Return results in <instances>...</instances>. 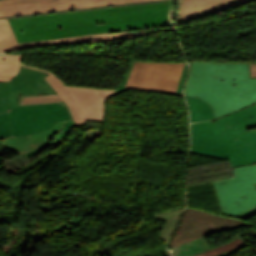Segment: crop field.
<instances>
[{
	"mask_svg": "<svg viewBox=\"0 0 256 256\" xmlns=\"http://www.w3.org/2000/svg\"><path fill=\"white\" fill-rule=\"evenodd\" d=\"M185 208L182 207V208H179V209H176V210H173V211H169V212H164V213H160V214H155V218L157 220H162V219H166V218H169L171 217L174 213L176 212H179V211H182L184 210Z\"/></svg>",
	"mask_w": 256,
	"mask_h": 256,
	"instance_id": "18",
	"label": "crop field"
},
{
	"mask_svg": "<svg viewBox=\"0 0 256 256\" xmlns=\"http://www.w3.org/2000/svg\"><path fill=\"white\" fill-rule=\"evenodd\" d=\"M256 104L220 118L191 124V153L229 160L232 167L256 163Z\"/></svg>",
	"mask_w": 256,
	"mask_h": 256,
	"instance_id": "2",
	"label": "crop field"
},
{
	"mask_svg": "<svg viewBox=\"0 0 256 256\" xmlns=\"http://www.w3.org/2000/svg\"><path fill=\"white\" fill-rule=\"evenodd\" d=\"M142 34H146L144 30L133 31V32H123V33H113V34H101V35H93V36L71 37V38L60 39V40H50V41L17 44V40H16L7 20L0 19V53L16 50V49H19V47L29 46V45L108 40V39H115V38L134 36V35H142Z\"/></svg>",
	"mask_w": 256,
	"mask_h": 256,
	"instance_id": "11",
	"label": "crop field"
},
{
	"mask_svg": "<svg viewBox=\"0 0 256 256\" xmlns=\"http://www.w3.org/2000/svg\"><path fill=\"white\" fill-rule=\"evenodd\" d=\"M250 78H256V63H249Z\"/></svg>",
	"mask_w": 256,
	"mask_h": 256,
	"instance_id": "20",
	"label": "crop field"
},
{
	"mask_svg": "<svg viewBox=\"0 0 256 256\" xmlns=\"http://www.w3.org/2000/svg\"><path fill=\"white\" fill-rule=\"evenodd\" d=\"M232 170L235 177L213 184L222 214L244 218L256 212V165Z\"/></svg>",
	"mask_w": 256,
	"mask_h": 256,
	"instance_id": "7",
	"label": "crop field"
},
{
	"mask_svg": "<svg viewBox=\"0 0 256 256\" xmlns=\"http://www.w3.org/2000/svg\"><path fill=\"white\" fill-rule=\"evenodd\" d=\"M183 212L177 213V214L173 215L171 218L165 220L166 221L165 226L162 229L161 234L159 236V238L165 244L168 245L170 238L173 236V234L179 224V221H180V218H181Z\"/></svg>",
	"mask_w": 256,
	"mask_h": 256,
	"instance_id": "15",
	"label": "crop field"
},
{
	"mask_svg": "<svg viewBox=\"0 0 256 256\" xmlns=\"http://www.w3.org/2000/svg\"><path fill=\"white\" fill-rule=\"evenodd\" d=\"M133 63H134V61L131 62V65H130V67H129L128 74H127V76L125 77V79L123 80V82L121 83V85L119 86L117 93H119V92H121V91H123V90L128 89V88H125V86H126V83H127L128 77H129V74H130V72H131ZM187 69H188L187 63H185L184 69H183V73H182V77H181L180 84H179V88H178V92H177L178 95H182V85H183V81H184V77H185V74H186V72H187ZM141 90H145V89H141ZM148 91H152V90H148ZM156 92H159V91H156ZM163 93H166V92H163ZM170 94H173V93H170Z\"/></svg>",
	"mask_w": 256,
	"mask_h": 256,
	"instance_id": "17",
	"label": "crop field"
},
{
	"mask_svg": "<svg viewBox=\"0 0 256 256\" xmlns=\"http://www.w3.org/2000/svg\"><path fill=\"white\" fill-rule=\"evenodd\" d=\"M47 73L21 67L10 82H0V113L18 105L19 95L55 93L43 79Z\"/></svg>",
	"mask_w": 256,
	"mask_h": 256,
	"instance_id": "10",
	"label": "crop field"
},
{
	"mask_svg": "<svg viewBox=\"0 0 256 256\" xmlns=\"http://www.w3.org/2000/svg\"><path fill=\"white\" fill-rule=\"evenodd\" d=\"M186 95L209 103L215 118L256 102V79L248 63H191Z\"/></svg>",
	"mask_w": 256,
	"mask_h": 256,
	"instance_id": "3",
	"label": "crop field"
},
{
	"mask_svg": "<svg viewBox=\"0 0 256 256\" xmlns=\"http://www.w3.org/2000/svg\"><path fill=\"white\" fill-rule=\"evenodd\" d=\"M22 54L0 55V81H10L20 66L49 73L44 79L57 94L20 96L19 105L64 102L75 124L80 127L85 120L104 121L105 101L116 90L65 86L53 72L21 63Z\"/></svg>",
	"mask_w": 256,
	"mask_h": 256,
	"instance_id": "4",
	"label": "crop field"
},
{
	"mask_svg": "<svg viewBox=\"0 0 256 256\" xmlns=\"http://www.w3.org/2000/svg\"><path fill=\"white\" fill-rule=\"evenodd\" d=\"M36 1V3H34ZM166 0H0V18Z\"/></svg>",
	"mask_w": 256,
	"mask_h": 256,
	"instance_id": "8",
	"label": "crop field"
},
{
	"mask_svg": "<svg viewBox=\"0 0 256 256\" xmlns=\"http://www.w3.org/2000/svg\"><path fill=\"white\" fill-rule=\"evenodd\" d=\"M0 114V137L24 136L50 129L57 121L68 119L50 143L60 145L75 128L64 103L18 106Z\"/></svg>",
	"mask_w": 256,
	"mask_h": 256,
	"instance_id": "5",
	"label": "crop field"
},
{
	"mask_svg": "<svg viewBox=\"0 0 256 256\" xmlns=\"http://www.w3.org/2000/svg\"><path fill=\"white\" fill-rule=\"evenodd\" d=\"M186 98L191 113V122L214 119L213 110L209 104L198 98L188 96Z\"/></svg>",
	"mask_w": 256,
	"mask_h": 256,
	"instance_id": "14",
	"label": "crop field"
},
{
	"mask_svg": "<svg viewBox=\"0 0 256 256\" xmlns=\"http://www.w3.org/2000/svg\"><path fill=\"white\" fill-rule=\"evenodd\" d=\"M184 63L135 61L126 87L177 92Z\"/></svg>",
	"mask_w": 256,
	"mask_h": 256,
	"instance_id": "9",
	"label": "crop field"
},
{
	"mask_svg": "<svg viewBox=\"0 0 256 256\" xmlns=\"http://www.w3.org/2000/svg\"><path fill=\"white\" fill-rule=\"evenodd\" d=\"M65 122L66 120L57 122L52 129L29 135L28 137L2 138V144L7 145L11 151L25 154L37 148L35 145L54 137L63 128Z\"/></svg>",
	"mask_w": 256,
	"mask_h": 256,
	"instance_id": "13",
	"label": "crop field"
},
{
	"mask_svg": "<svg viewBox=\"0 0 256 256\" xmlns=\"http://www.w3.org/2000/svg\"><path fill=\"white\" fill-rule=\"evenodd\" d=\"M254 0H179L178 24Z\"/></svg>",
	"mask_w": 256,
	"mask_h": 256,
	"instance_id": "12",
	"label": "crop field"
},
{
	"mask_svg": "<svg viewBox=\"0 0 256 256\" xmlns=\"http://www.w3.org/2000/svg\"><path fill=\"white\" fill-rule=\"evenodd\" d=\"M243 242L239 238V239L233 240L231 242H228V243H226L224 245H221L219 247H216V248H214V249H212L210 251L204 252V253H202V254H200L198 256H215V255L220 254V253H222V252H224L226 250H229V249H231V248H233L235 246H238V245L242 244Z\"/></svg>",
	"mask_w": 256,
	"mask_h": 256,
	"instance_id": "16",
	"label": "crop field"
},
{
	"mask_svg": "<svg viewBox=\"0 0 256 256\" xmlns=\"http://www.w3.org/2000/svg\"><path fill=\"white\" fill-rule=\"evenodd\" d=\"M245 222L188 208L178 234L172 241L173 256H195L211 249L205 237Z\"/></svg>",
	"mask_w": 256,
	"mask_h": 256,
	"instance_id": "6",
	"label": "crop field"
},
{
	"mask_svg": "<svg viewBox=\"0 0 256 256\" xmlns=\"http://www.w3.org/2000/svg\"><path fill=\"white\" fill-rule=\"evenodd\" d=\"M243 246H245V244H242V245H240V246H238V247H236V248H233V249H231V250H229V251H226V252H224V253H222V254H220V255H217V256H227V255H229L230 253L234 252L235 250H237V249H239V248H241V247H243Z\"/></svg>",
	"mask_w": 256,
	"mask_h": 256,
	"instance_id": "22",
	"label": "crop field"
},
{
	"mask_svg": "<svg viewBox=\"0 0 256 256\" xmlns=\"http://www.w3.org/2000/svg\"><path fill=\"white\" fill-rule=\"evenodd\" d=\"M48 145H50V143H49L48 141H46V142H44V143H42V144H39V145H37L39 148H37V149H35V150H33V151H31V152L25 154L24 156L30 158V157L36 155L37 153H39V152H40L41 150H43L44 148H46Z\"/></svg>",
	"mask_w": 256,
	"mask_h": 256,
	"instance_id": "19",
	"label": "crop field"
},
{
	"mask_svg": "<svg viewBox=\"0 0 256 256\" xmlns=\"http://www.w3.org/2000/svg\"><path fill=\"white\" fill-rule=\"evenodd\" d=\"M18 43L174 25L175 0L7 19Z\"/></svg>",
	"mask_w": 256,
	"mask_h": 256,
	"instance_id": "1",
	"label": "crop field"
},
{
	"mask_svg": "<svg viewBox=\"0 0 256 256\" xmlns=\"http://www.w3.org/2000/svg\"><path fill=\"white\" fill-rule=\"evenodd\" d=\"M147 34H150V33H156V32H162L164 31V27L163 28H158V29H152V30H145ZM123 39V38H122ZM117 40V39H115ZM109 41V40H108ZM98 42V41H96ZM87 43H90V42H87ZM65 44V43H63ZM44 46V45H43ZM29 47H34V46H29ZM24 48V47H23Z\"/></svg>",
	"mask_w": 256,
	"mask_h": 256,
	"instance_id": "21",
	"label": "crop field"
}]
</instances>
